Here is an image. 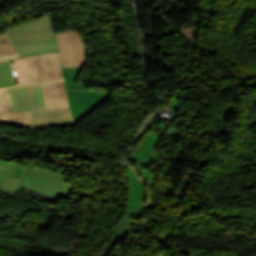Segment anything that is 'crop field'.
Masks as SVG:
<instances>
[{
	"label": "crop field",
	"instance_id": "crop-field-1",
	"mask_svg": "<svg viewBox=\"0 0 256 256\" xmlns=\"http://www.w3.org/2000/svg\"><path fill=\"white\" fill-rule=\"evenodd\" d=\"M126 174L128 180L129 198L127 205L121 215V218L115 228L113 237L108 248L100 256H108L114 245L128 236L133 226L139 219L147 204L152 201L151 191L154 184L148 183L140 179L135 169L129 164L125 163ZM134 190V191H132ZM121 227V229H119ZM135 227V226H134ZM115 237L120 238L117 242L113 240Z\"/></svg>",
	"mask_w": 256,
	"mask_h": 256
},
{
	"label": "crop field",
	"instance_id": "crop-field-2",
	"mask_svg": "<svg viewBox=\"0 0 256 256\" xmlns=\"http://www.w3.org/2000/svg\"><path fill=\"white\" fill-rule=\"evenodd\" d=\"M5 31L19 57L58 50L50 15Z\"/></svg>",
	"mask_w": 256,
	"mask_h": 256
},
{
	"label": "crop field",
	"instance_id": "crop-field-3",
	"mask_svg": "<svg viewBox=\"0 0 256 256\" xmlns=\"http://www.w3.org/2000/svg\"><path fill=\"white\" fill-rule=\"evenodd\" d=\"M8 62L14 86L63 79L57 51Z\"/></svg>",
	"mask_w": 256,
	"mask_h": 256
},
{
	"label": "crop field",
	"instance_id": "crop-field-4",
	"mask_svg": "<svg viewBox=\"0 0 256 256\" xmlns=\"http://www.w3.org/2000/svg\"><path fill=\"white\" fill-rule=\"evenodd\" d=\"M67 179L61 174L35 167H23L19 177V180L25 181L23 187L56 199H70L74 194L75 186L65 182Z\"/></svg>",
	"mask_w": 256,
	"mask_h": 256
},
{
	"label": "crop field",
	"instance_id": "crop-field-5",
	"mask_svg": "<svg viewBox=\"0 0 256 256\" xmlns=\"http://www.w3.org/2000/svg\"><path fill=\"white\" fill-rule=\"evenodd\" d=\"M165 130V123H159L128 156V159H132L139 163L136 166L145 179L156 180L157 176H151L148 168L159 161V156L157 154V145L159 142L167 138L181 135L180 131L172 128L168 136L164 137Z\"/></svg>",
	"mask_w": 256,
	"mask_h": 256
},
{
	"label": "crop field",
	"instance_id": "crop-field-6",
	"mask_svg": "<svg viewBox=\"0 0 256 256\" xmlns=\"http://www.w3.org/2000/svg\"><path fill=\"white\" fill-rule=\"evenodd\" d=\"M62 68L82 67L85 61L86 45L74 30L55 33Z\"/></svg>",
	"mask_w": 256,
	"mask_h": 256
},
{
	"label": "crop field",
	"instance_id": "crop-field-7",
	"mask_svg": "<svg viewBox=\"0 0 256 256\" xmlns=\"http://www.w3.org/2000/svg\"><path fill=\"white\" fill-rule=\"evenodd\" d=\"M13 113L47 109L42 83L10 88Z\"/></svg>",
	"mask_w": 256,
	"mask_h": 256
},
{
	"label": "crop field",
	"instance_id": "crop-field-8",
	"mask_svg": "<svg viewBox=\"0 0 256 256\" xmlns=\"http://www.w3.org/2000/svg\"><path fill=\"white\" fill-rule=\"evenodd\" d=\"M75 124L103 104L109 92L66 89Z\"/></svg>",
	"mask_w": 256,
	"mask_h": 256
},
{
	"label": "crop field",
	"instance_id": "crop-field-9",
	"mask_svg": "<svg viewBox=\"0 0 256 256\" xmlns=\"http://www.w3.org/2000/svg\"><path fill=\"white\" fill-rule=\"evenodd\" d=\"M32 129L54 125H73L71 110H50L30 113Z\"/></svg>",
	"mask_w": 256,
	"mask_h": 256
},
{
	"label": "crop field",
	"instance_id": "crop-field-10",
	"mask_svg": "<svg viewBox=\"0 0 256 256\" xmlns=\"http://www.w3.org/2000/svg\"><path fill=\"white\" fill-rule=\"evenodd\" d=\"M48 109L68 107L63 80L43 83Z\"/></svg>",
	"mask_w": 256,
	"mask_h": 256
},
{
	"label": "crop field",
	"instance_id": "crop-field-11",
	"mask_svg": "<svg viewBox=\"0 0 256 256\" xmlns=\"http://www.w3.org/2000/svg\"><path fill=\"white\" fill-rule=\"evenodd\" d=\"M0 124L32 128L29 113L0 115Z\"/></svg>",
	"mask_w": 256,
	"mask_h": 256
},
{
	"label": "crop field",
	"instance_id": "crop-field-12",
	"mask_svg": "<svg viewBox=\"0 0 256 256\" xmlns=\"http://www.w3.org/2000/svg\"><path fill=\"white\" fill-rule=\"evenodd\" d=\"M18 57L6 33L0 34V60Z\"/></svg>",
	"mask_w": 256,
	"mask_h": 256
},
{
	"label": "crop field",
	"instance_id": "crop-field-13",
	"mask_svg": "<svg viewBox=\"0 0 256 256\" xmlns=\"http://www.w3.org/2000/svg\"><path fill=\"white\" fill-rule=\"evenodd\" d=\"M158 109H151L152 112L148 113L146 117L143 119L136 135L132 138L131 141V147H133L136 142L143 136V134L148 130V128L151 126L153 121L156 119L158 112Z\"/></svg>",
	"mask_w": 256,
	"mask_h": 256
},
{
	"label": "crop field",
	"instance_id": "crop-field-14",
	"mask_svg": "<svg viewBox=\"0 0 256 256\" xmlns=\"http://www.w3.org/2000/svg\"><path fill=\"white\" fill-rule=\"evenodd\" d=\"M23 181L0 176V189L14 195L21 187Z\"/></svg>",
	"mask_w": 256,
	"mask_h": 256
},
{
	"label": "crop field",
	"instance_id": "crop-field-15",
	"mask_svg": "<svg viewBox=\"0 0 256 256\" xmlns=\"http://www.w3.org/2000/svg\"><path fill=\"white\" fill-rule=\"evenodd\" d=\"M81 68L63 69L66 88L84 89V84H75V78Z\"/></svg>",
	"mask_w": 256,
	"mask_h": 256
},
{
	"label": "crop field",
	"instance_id": "crop-field-16",
	"mask_svg": "<svg viewBox=\"0 0 256 256\" xmlns=\"http://www.w3.org/2000/svg\"><path fill=\"white\" fill-rule=\"evenodd\" d=\"M20 169H21V165L19 164L0 160V174L2 175L18 178Z\"/></svg>",
	"mask_w": 256,
	"mask_h": 256
},
{
	"label": "crop field",
	"instance_id": "crop-field-17",
	"mask_svg": "<svg viewBox=\"0 0 256 256\" xmlns=\"http://www.w3.org/2000/svg\"><path fill=\"white\" fill-rule=\"evenodd\" d=\"M7 86H13V84L11 80L8 62L6 60L0 61V88Z\"/></svg>",
	"mask_w": 256,
	"mask_h": 256
},
{
	"label": "crop field",
	"instance_id": "crop-field-18",
	"mask_svg": "<svg viewBox=\"0 0 256 256\" xmlns=\"http://www.w3.org/2000/svg\"><path fill=\"white\" fill-rule=\"evenodd\" d=\"M12 113L9 88L0 89V114Z\"/></svg>",
	"mask_w": 256,
	"mask_h": 256
},
{
	"label": "crop field",
	"instance_id": "crop-field-19",
	"mask_svg": "<svg viewBox=\"0 0 256 256\" xmlns=\"http://www.w3.org/2000/svg\"><path fill=\"white\" fill-rule=\"evenodd\" d=\"M167 95L170 96V98L168 99L169 103H171L170 108L174 111H178L179 110V103L178 102H180V101L178 100L177 93H167ZM184 97H185V95L180 94V98H181V101H182V113H186V111H187V109L184 106ZM184 109H186V111H184Z\"/></svg>",
	"mask_w": 256,
	"mask_h": 256
}]
</instances>
